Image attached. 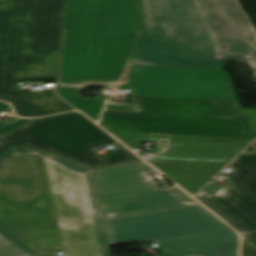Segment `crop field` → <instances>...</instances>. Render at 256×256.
Segmentation results:
<instances>
[{
	"label": "crop field",
	"mask_w": 256,
	"mask_h": 256,
	"mask_svg": "<svg viewBox=\"0 0 256 256\" xmlns=\"http://www.w3.org/2000/svg\"><path fill=\"white\" fill-rule=\"evenodd\" d=\"M0 233L31 256H111L94 169L23 146L6 148Z\"/></svg>",
	"instance_id": "obj_1"
},
{
	"label": "crop field",
	"mask_w": 256,
	"mask_h": 256,
	"mask_svg": "<svg viewBox=\"0 0 256 256\" xmlns=\"http://www.w3.org/2000/svg\"><path fill=\"white\" fill-rule=\"evenodd\" d=\"M65 9L58 92L97 121L105 101L80 93L86 85L118 82L141 30L139 0H69Z\"/></svg>",
	"instance_id": "obj_2"
},
{
	"label": "crop field",
	"mask_w": 256,
	"mask_h": 256,
	"mask_svg": "<svg viewBox=\"0 0 256 256\" xmlns=\"http://www.w3.org/2000/svg\"><path fill=\"white\" fill-rule=\"evenodd\" d=\"M68 0H0V88L22 116L73 109L54 91L22 95L14 83L55 78L60 56L64 12Z\"/></svg>",
	"instance_id": "obj_3"
},
{
	"label": "crop field",
	"mask_w": 256,
	"mask_h": 256,
	"mask_svg": "<svg viewBox=\"0 0 256 256\" xmlns=\"http://www.w3.org/2000/svg\"><path fill=\"white\" fill-rule=\"evenodd\" d=\"M143 17L129 65L224 69L198 0H143Z\"/></svg>",
	"instance_id": "obj_4"
},
{
	"label": "crop field",
	"mask_w": 256,
	"mask_h": 256,
	"mask_svg": "<svg viewBox=\"0 0 256 256\" xmlns=\"http://www.w3.org/2000/svg\"><path fill=\"white\" fill-rule=\"evenodd\" d=\"M105 224L111 246L154 240L162 256H238V234L202 206Z\"/></svg>",
	"instance_id": "obj_5"
},
{
	"label": "crop field",
	"mask_w": 256,
	"mask_h": 256,
	"mask_svg": "<svg viewBox=\"0 0 256 256\" xmlns=\"http://www.w3.org/2000/svg\"><path fill=\"white\" fill-rule=\"evenodd\" d=\"M0 141L55 153L82 167H104L141 160L124 146L113 149L114 154L99 155L91 147L122 144L78 112L38 119L0 136Z\"/></svg>",
	"instance_id": "obj_6"
},
{
	"label": "crop field",
	"mask_w": 256,
	"mask_h": 256,
	"mask_svg": "<svg viewBox=\"0 0 256 256\" xmlns=\"http://www.w3.org/2000/svg\"><path fill=\"white\" fill-rule=\"evenodd\" d=\"M99 125L107 130L254 139L244 118L143 114L104 111ZM241 150L161 146L158 158L230 162Z\"/></svg>",
	"instance_id": "obj_7"
},
{
	"label": "crop field",
	"mask_w": 256,
	"mask_h": 256,
	"mask_svg": "<svg viewBox=\"0 0 256 256\" xmlns=\"http://www.w3.org/2000/svg\"><path fill=\"white\" fill-rule=\"evenodd\" d=\"M95 171L105 221L200 205L176 186L160 188L143 161Z\"/></svg>",
	"instance_id": "obj_8"
},
{
	"label": "crop field",
	"mask_w": 256,
	"mask_h": 256,
	"mask_svg": "<svg viewBox=\"0 0 256 256\" xmlns=\"http://www.w3.org/2000/svg\"><path fill=\"white\" fill-rule=\"evenodd\" d=\"M118 87L137 96L237 101L224 70L128 66Z\"/></svg>",
	"instance_id": "obj_9"
},
{
	"label": "crop field",
	"mask_w": 256,
	"mask_h": 256,
	"mask_svg": "<svg viewBox=\"0 0 256 256\" xmlns=\"http://www.w3.org/2000/svg\"><path fill=\"white\" fill-rule=\"evenodd\" d=\"M224 62L248 61L256 71V31L236 0H199Z\"/></svg>",
	"instance_id": "obj_10"
},
{
	"label": "crop field",
	"mask_w": 256,
	"mask_h": 256,
	"mask_svg": "<svg viewBox=\"0 0 256 256\" xmlns=\"http://www.w3.org/2000/svg\"><path fill=\"white\" fill-rule=\"evenodd\" d=\"M256 244V199L229 181L214 195L202 190L194 196Z\"/></svg>",
	"instance_id": "obj_11"
},
{
	"label": "crop field",
	"mask_w": 256,
	"mask_h": 256,
	"mask_svg": "<svg viewBox=\"0 0 256 256\" xmlns=\"http://www.w3.org/2000/svg\"><path fill=\"white\" fill-rule=\"evenodd\" d=\"M133 112L236 117L238 102L131 96Z\"/></svg>",
	"instance_id": "obj_12"
},
{
	"label": "crop field",
	"mask_w": 256,
	"mask_h": 256,
	"mask_svg": "<svg viewBox=\"0 0 256 256\" xmlns=\"http://www.w3.org/2000/svg\"><path fill=\"white\" fill-rule=\"evenodd\" d=\"M228 168L232 169L228 174L231 180L236 182L256 198V173L235 159Z\"/></svg>",
	"instance_id": "obj_13"
},
{
	"label": "crop field",
	"mask_w": 256,
	"mask_h": 256,
	"mask_svg": "<svg viewBox=\"0 0 256 256\" xmlns=\"http://www.w3.org/2000/svg\"><path fill=\"white\" fill-rule=\"evenodd\" d=\"M0 256H30L0 234Z\"/></svg>",
	"instance_id": "obj_14"
},
{
	"label": "crop field",
	"mask_w": 256,
	"mask_h": 256,
	"mask_svg": "<svg viewBox=\"0 0 256 256\" xmlns=\"http://www.w3.org/2000/svg\"><path fill=\"white\" fill-rule=\"evenodd\" d=\"M36 119H20L15 116L10 117L6 121L0 123V135L14 130L20 126L30 123Z\"/></svg>",
	"instance_id": "obj_15"
},
{
	"label": "crop field",
	"mask_w": 256,
	"mask_h": 256,
	"mask_svg": "<svg viewBox=\"0 0 256 256\" xmlns=\"http://www.w3.org/2000/svg\"><path fill=\"white\" fill-rule=\"evenodd\" d=\"M249 147L254 149L255 152L241 154L237 159L256 172V141H254Z\"/></svg>",
	"instance_id": "obj_16"
},
{
	"label": "crop field",
	"mask_w": 256,
	"mask_h": 256,
	"mask_svg": "<svg viewBox=\"0 0 256 256\" xmlns=\"http://www.w3.org/2000/svg\"><path fill=\"white\" fill-rule=\"evenodd\" d=\"M242 256H256V245L243 237Z\"/></svg>",
	"instance_id": "obj_17"
},
{
	"label": "crop field",
	"mask_w": 256,
	"mask_h": 256,
	"mask_svg": "<svg viewBox=\"0 0 256 256\" xmlns=\"http://www.w3.org/2000/svg\"><path fill=\"white\" fill-rule=\"evenodd\" d=\"M1 110L6 111L8 114H11V115L13 114L10 106L8 104H6V103L0 102V111Z\"/></svg>",
	"instance_id": "obj_18"
},
{
	"label": "crop field",
	"mask_w": 256,
	"mask_h": 256,
	"mask_svg": "<svg viewBox=\"0 0 256 256\" xmlns=\"http://www.w3.org/2000/svg\"><path fill=\"white\" fill-rule=\"evenodd\" d=\"M0 99H1V100H4V101L11 102V101L7 98V96L1 91V89H0Z\"/></svg>",
	"instance_id": "obj_19"
},
{
	"label": "crop field",
	"mask_w": 256,
	"mask_h": 256,
	"mask_svg": "<svg viewBox=\"0 0 256 256\" xmlns=\"http://www.w3.org/2000/svg\"><path fill=\"white\" fill-rule=\"evenodd\" d=\"M243 116H244V115H243L242 110H241V108H240V111H239L237 117H243Z\"/></svg>",
	"instance_id": "obj_20"
},
{
	"label": "crop field",
	"mask_w": 256,
	"mask_h": 256,
	"mask_svg": "<svg viewBox=\"0 0 256 256\" xmlns=\"http://www.w3.org/2000/svg\"><path fill=\"white\" fill-rule=\"evenodd\" d=\"M70 33H71V31H69V35H68V44H67V48L69 47V37H70Z\"/></svg>",
	"instance_id": "obj_21"
},
{
	"label": "crop field",
	"mask_w": 256,
	"mask_h": 256,
	"mask_svg": "<svg viewBox=\"0 0 256 256\" xmlns=\"http://www.w3.org/2000/svg\"><path fill=\"white\" fill-rule=\"evenodd\" d=\"M59 58H60V57H58V58H53V61H58V62H59Z\"/></svg>",
	"instance_id": "obj_22"
},
{
	"label": "crop field",
	"mask_w": 256,
	"mask_h": 256,
	"mask_svg": "<svg viewBox=\"0 0 256 256\" xmlns=\"http://www.w3.org/2000/svg\"><path fill=\"white\" fill-rule=\"evenodd\" d=\"M3 147L4 145L0 143V151L2 150Z\"/></svg>",
	"instance_id": "obj_23"
},
{
	"label": "crop field",
	"mask_w": 256,
	"mask_h": 256,
	"mask_svg": "<svg viewBox=\"0 0 256 256\" xmlns=\"http://www.w3.org/2000/svg\"><path fill=\"white\" fill-rule=\"evenodd\" d=\"M63 15H64V13H60V14H58V16H60V17H63Z\"/></svg>",
	"instance_id": "obj_24"
},
{
	"label": "crop field",
	"mask_w": 256,
	"mask_h": 256,
	"mask_svg": "<svg viewBox=\"0 0 256 256\" xmlns=\"http://www.w3.org/2000/svg\"><path fill=\"white\" fill-rule=\"evenodd\" d=\"M69 49V48H68ZM68 49H67V52H66V58H68Z\"/></svg>",
	"instance_id": "obj_25"
}]
</instances>
